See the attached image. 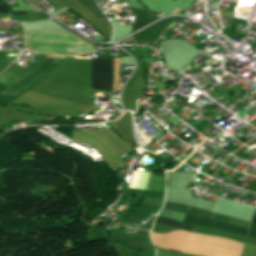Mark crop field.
<instances>
[{"label":"crop field","instance_id":"3","mask_svg":"<svg viewBox=\"0 0 256 256\" xmlns=\"http://www.w3.org/2000/svg\"><path fill=\"white\" fill-rule=\"evenodd\" d=\"M185 223L222 229V230L239 233V234H244V235H246L247 231H248V229H246V228L217 223V222H213V221H209V220H205V219H201V218H197V217H193V216H189V215L187 216Z\"/></svg>","mask_w":256,"mask_h":256},{"label":"crop field","instance_id":"6","mask_svg":"<svg viewBox=\"0 0 256 256\" xmlns=\"http://www.w3.org/2000/svg\"><path fill=\"white\" fill-rule=\"evenodd\" d=\"M248 235H249V236L256 237V231L250 230Z\"/></svg>","mask_w":256,"mask_h":256},{"label":"crop field","instance_id":"8","mask_svg":"<svg viewBox=\"0 0 256 256\" xmlns=\"http://www.w3.org/2000/svg\"><path fill=\"white\" fill-rule=\"evenodd\" d=\"M252 222L256 223V217L255 216L253 217V221Z\"/></svg>","mask_w":256,"mask_h":256},{"label":"crop field","instance_id":"5","mask_svg":"<svg viewBox=\"0 0 256 256\" xmlns=\"http://www.w3.org/2000/svg\"><path fill=\"white\" fill-rule=\"evenodd\" d=\"M0 12H10L7 3H1L0 4Z\"/></svg>","mask_w":256,"mask_h":256},{"label":"crop field","instance_id":"4","mask_svg":"<svg viewBox=\"0 0 256 256\" xmlns=\"http://www.w3.org/2000/svg\"><path fill=\"white\" fill-rule=\"evenodd\" d=\"M155 222H159V223L166 224V225H169V226H173V227H176V228H182V229H185V230L190 231V232H192V230L194 228L193 225H189V224L169 220V219L158 217V216L156 217Z\"/></svg>","mask_w":256,"mask_h":256},{"label":"crop field","instance_id":"1","mask_svg":"<svg viewBox=\"0 0 256 256\" xmlns=\"http://www.w3.org/2000/svg\"><path fill=\"white\" fill-rule=\"evenodd\" d=\"M50 57L66 58L62 56L50 55ZM47 57L42 63L16 83L3 95L19 96L41 82L51 71H53L64 59Z\"/></svg>","mask_w":256,"mask_h":256},{"label":"crop field","instance_id":"2","mask_svg":"<svg viewBox=\"0 0 256 256\" xmlns=\"http://www.w3.org/2000/svg\"><path fill=\"white\" fill-rule=\"evenodd\" d=\"M113 58H88L89 87L112 91Z\"/></svg>","mask_w":256,"mask_h":256},{"label":"crop field","instance_id":"9","mask_svg":"<svg viewBox=\"0 0 256 256\" xmlns=\"http://www.w3.org/2000/svg\"><path fill=\"white\" fill-rule=\"evenodd\" d=\"M254 215H256V210H255V214Z\"/></svg>","mask_w":256,"mask_h":256},{"label":"crop field","instance_id":"7","mask_svg":"<svg viewBox=\"0 0 256 256\" xmlns=\"http://www.w3.org/2000/svg\"><path fill=\"white\" fill-rule=\"evenodd\" d=\"M252 230H256V224L252 223L251 228Z\"/></svg>","mask_w":256,"mask_h":256}]
</instances>
